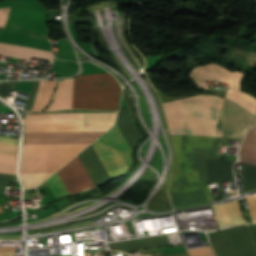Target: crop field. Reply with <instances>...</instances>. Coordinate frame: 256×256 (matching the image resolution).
Segmentation results:
<instances>
[{
  "label": "crop field",
  "mask_w": 256,
  "mask_h": 256,
  "mask_svg": "<svg viewBox=\"0 0 256 256\" xmlns=\"http://www.w3.org/2000/svg\"><path fill=\"white\" fill-rule=\"evenodd\" d=\"M0 54L30 60L32 56L53 62V55L49 51L0 43Z\"/></svg>",
  "instance_id": "28ad6ade"
},
{
  "label": "crop field",
  "mask_w": 256,
  "mask_h": 256,
  "mask_svg": "<svg viewBox=\"0 0 256 256\" xmlns=\"http://www.w3.org/2000/svg\"><path fill=\"white\" fill-rule=\"evenodd\" d=\"M120 87L109 74L74 79L72 108L117 110Z\"/></svg>",
  "instance_id": "34b2d1b8"
},
{
  "label": "crop field",
  "mask_w": 256,
  "mask_h": 256,
  "mask_svg": "<svg viewBox=\"0 0 256 256\" xmlns=\"http://www.w3.org/2000/svg\"><path fill=\"white\" fill-rule=\"evenodd\" d=\"M160 256H188V254L186 251H183V252L165 254V255H160Z\"/></svg>",
  "instance_id": "eef30255"
},
{
  "label": "crop field",
  "mask_w": 256,
  "mask_h": 256,
  "mask_svg": "<svg viewBox=\"0 0 256 256\" xmlns=\"http://www.w3.org/2000/svg\"><path fill=\"white\" fill-rule=\"evenodd\" d=\"M92 145L110 177L124 173L132 164L131 152L117 126Z\"/></svg>",
  "instance_id": "412701ff"
},
{
  "label": "crop field",
  "mask_w": 256,
  "mask_h": 256,
  "mask_svg": "<svg viewBox=\"0 0 256 256\" xmlns=\"http://www.w3.org/2000/svg\"><path fill=\"white\" fill-rule=\"evenodd\" d=\"M95 185L110 178L103 168L92 145L78 155Z\"/></svg>",
  "instance_id": "3316defc"
},
{
  "label": "crop field",
  "mask_w": 256,
  "mask_h": 256,
  "mask_svg": "<svg viewBox=\"0 0 256 256\" xmlns=\"http://www.w3.org/2000/svg\"><path fill=\"white\" fill-rule=\"evenodd\" d=\"M246 198H247L248 209L251 214L252 223H256V207L254 204V199H253L252 195L248 196Z\"/></svg>",
  "instance_id": "dafd665d"
},
{
  "label": "crop field",
  "mask_w": 256,
  "mask_h": 256,
  "mask_svg": "<svg viewBox=\"0 0 256 256\" xmlns=\"http://www.w3.org/2000/svg\"><path fill=\"white\" fill-rule=\"evenodd\" d=\"M239 157L244 163L256 165V126L247 132L239 149Z\"/></svg>",
  "instance_id": "cbeb9de0"
},
{
  "label": "crop field",
  "mask_w": 256,
  "mask_h": 256,
  "mask_svg": "<svg viewBox=\"0 0 256 256\" xmlns=\"http://www.w3.org/2000/svg\"><path fill=\"white\" fill-rule=\"evenodd\" d=\"M57 172L69 194L96 188L78 156Z\"/></svg>",
  "instance_id": "dd49c442"
},
{
  "label": "crop field",
  "mask_w": 256,
  "mask_h": 256,
  "mask_svg": "<svg viewBox=\"0 0 256 256\" xmlns=\"http://www.w3.org/2000/svg\"><path fill=\"white\" fill-rule=\"evenodd\" d=\"M55 83V80L40 81L37 96L31 111H40L48 104L55 87Z\"/></svg>",
  "instance_id": "5142ce71"
},
{
  "label": "crop field",
  "mask_w": 256,
  "mask_h": 256,
  "mask_svg": "<svg viewBox=\"0 0 256 256\" xmlns=\"http://www.w3.org/2000/svg\"><path fill=\"white\" fill-rule=\"evenodd\" d=\"M88 145H28L26 171L20 172L25 188L36 187Z\"/></svg>",
  "instance_id": "ac0d7876"
},
{
  "label": "crop field",
  "mask_w": 256,
  "mask_h": 256,
  "mask_svg": "<svg viewBox=\"0 0 256 256\" xmlns=\"http://www.w3.org/2000/svg\"><path fill=\"white\" fill-rule=\"evenodd\" d=\"M0 212H2V209L0 208Z\"/></svg>",
  "instance_id": "bd1437ed"
},
{
  "label": "crop field",
  "mask_w": 256,
  "mask_h": 256,
  "mask_svg": "<svg viewBox=\"0 0 256 256\" xmlns=\"http://www.w3.org/2000/svg\"><path fill=\"white\" fill-rule=\"evenodd\" d=\"M211 206L214 207L219 227L226 226L228 224L237 225L246 223L242 217L237 199L219 204H212Z\"/></svg>",
  "instance_id": "5a996713"
},
{
  "label": "crop field",
  "mask_w": 256,
  "mask_h": 256,
  "mask_svg": "<svg viewBox=\"0 0 256 256\" xmlns=\"http://www.w3.org/2000/svg\"><path fill=\"white\" fill-rule=\"evenodd\" d=\"M47 183L52 190L55 198L63 195H68L66 188L64 187L61 179L59 178L57 172L48 178Z\"/></svg>",
  "instance_id": "4a817a6b"
},
{
  "label": "crop field",
  "mask_w": 256,
  "mask_h": 256,
  "mask_svg": "<svg viewBox=\"0 0 256 256\" xmlns=\"http://www.w3.org/2000/svg\"><path fill=\"white\" fill-rule=\"evenodd\" d=\"M16 247H3V248H0V251H9V250H15Z\"/></svg>",
  "instance_id": "ae1a2a85"
},
{
  "label": "crop field",
  "mask_w": 256,
  "mask_h": 256,
  "mask_svg": "<svg viewBox=\"0 0 256 256\" xmlns=\"http://www.w3.org/2000/svg\"><path fill=\"white\" fill-rule=\"evenodd\" d=\"M117 113L80 114L81 123H114Z\"/></svg>",
  "instance_id": "733c2abd"
},
{
  "label": "crop field",
  "mask_w": 256,
  "mask_h": 256,
  "mask_svg": "<svg viewBox=\"0 0 256 256\" xmlns=\"http://www.w3.org/2000/svg\"><path fill=\"white\" fill-rule=\"evenodd\" d=\"M188 254L189 256H215L213 246L189 250Z\"/></svg>",
  "instance_id": "92a150f3"
},
{
  "label": "crop field",
  "mask_w": 256,
  "mask_h": 256,
  "mask_svg": "<svg viewBox=\"0 0 256 256\" xmlns=\"http://www.w3.org/2000/svg\"><path fill=\"white\" fill-rule=\"evenodd\" d=\"M0 141L17 145V140L11 139V138H6V137H1L0 136Z\"/></svg>",
  "instance_id": "730fd06b"
},
{
  "label": "crop field",
  "mask_w": 256,
  "mask_h": 256,
  "mask_svg": "<svg viewBox=\"0 0 256 256\" xmlns=\"http://www.w3.org/2000/svg\"><path fill=\"white\" fill-rule=\"evenodd\" d=\"M25 132L107 131L113 124H80V119L23 120Z\"/></svg>",
  "instance_id": "f4fd0767"
},
{
  "label": "crop field",
  "mask_w": 256,
  "mask_h": 256,
  "mask_svg": "<svg viewBox=\"0 0 256 256\" xmlns=\"http://www.w3.org/2000/svg\"><path fill=\"white\" fill-rule=\"evenodd\" d=\"M245 74L233 71L230 72L227 69L217 65L208 64L205 66H197L192 68L189 78L219 81L222 83H230V87L239 90Z\"/></svg>",
  "instance_id": "d8731c3e"
},
{
  "label": "crop field",
  "mask_w": 256,
  "mask_h": 256,
  "mask_svg": "<svg viewBox=\"0 0 256 256\" xmlns=\"http://www.w3.org/2000/svg\"><path fill=\"white\" fill-rule=\"evenodd\" d=\"M79 118V113L27 114L24 119Z\"/></svg>",
  "instance_id": "214f88e0"
},
{
  "label": "crop field",
  "mask_w": 256,
  "mask_h": 256,
  "mask_svg": "<svg viewBox=\"0 0 256 256\" xmlns=\"http://www.w3.org/2000/svg\"><path fill=\"white\" fill-rule=\"evenodd\" d=\"M9 10H10V8H1L0 9V28H3V26L5 24ZM0 31H1V29H0Z\"/></svg>",
  "instance_id": "4177f3b9"
},
{
  "label": "crop field",
  "mask_w": 256,
  "mask_h": 256,
  "mask_svg": "<svg viewBox=\"0 0 256 256\" xmlns=\"http://www.w3.org/2000/svg\"><path fill=\"white\" fill-rule=\"evenodd\" d=\"M113 249L118 250H133L138 248L155 247V246H166L167 241L164 235L146 237L131 241L116 242L110 244Z\"/></svg>",
  "instance_id": "d1516ede"
},
{
  "label": "crop field",
  "mask_w": 256,
  "mask_h": 256,
  "mask_svg": "<svg viewBox=\"0 0 256 256\" xmlns=\"http://www.w3.org/2000/svg\"><path fill=\"white\" fill-rule=\"evenodd\" d=\"M72 86H73V79L64 81V98H63L62 109L71 108ZM62 97H63V82L58 81V88L53 98V102L46 109V111L61 110Z\"/></svg>",
  "instance_id": "22f410ed"
},
{
  "label": "crop field",
  "mask_w": 256,
  "mask_h": 256,
  "mask_svg": "<svg viewBox=\"0 0 256 256\" xmlns=\"http://www.w3.org/2000/svg\"><path fill=\"white\" fill-rule=\"evenodd\" d=\"M229 101L199 95L164 103L172 136L220 137ZM254 116L230 103L222 136L242 138ZM172 137L176 162L170 186L175 207L211 202L206 159H215L220 138Z\"/></svg>",
  "instance_id": "8a807250"
},
{
  "label": "crop field",
  "mask_w": 256,
  "mask_h": 256,
  "mask_svg": "<svg viewBox=\"0 0 256 256\" xmlns=\"http://www.w3.org/2000/svg\"><path fill=\"white\" fill-rule=\"evenodd\" d=\"M254 199H255V204H256V193L255 194H252Z\"/></svg>",
  "instance_id": "d3111659"
},
{
  "label": "crop field",
  "mask_w": 256,
  "mask_h": 256,
  "mask_svg": "<svg viewBox=\"0 0 256 256\" xmlns=\"http://www.w3.org/2000/svg\"><path fill=\"white\" fill-rule=\"evenodd\" d=\"M225 98L242 106L250 113L254 115L256 114V99H254L253 97L241 92H236L231 89H227Z\"/></svg>",
  "instance_id": "d9b57169"
},
{
  "label": "crop field",
  "mask_w": 256,
  "mask_h": 256,
  "mask_svg": "<svg viewBox=\"0 0 256 256\" xmlns=\"http://www.w3.org/2000/svg\"><path fill=\"white\" fill-rule=\"evenodd\" d=\"M64 256H71V255H64Z\"/></svg>",
  "instance_id": "750c4746"
},
{
  "label": "crop field",
  "mask_w": 256,
  "mask_h": 256,
  "mask_svg": "<svg viewBox=\"0 0 256 256\" xmlns=\"http://www.w3.org/2000/svg\"><path fill=\"white\" fill-rule=\"evenodd\" d=\"M17 178L16 176L0 174V189L4 188L10 181Z\"/></svg>",
  "instance_id": "a9b5d70f"
},
{
  "label": "crop field",
  "mask_w": 256,
  "mask_h": 256,
  "mask_svg": "<svg viewBox=\"0 0 256 256\" xmlns=\"http://www.w3.org/2000/svg\"><path fill=\"white\" fill-rule=\"evenodd\" d=\"M104 132L25 133V144L91 143Z\"/></svg>",
  "instance_id": "e52e79f7"
},
{
  "label": "crop field",
  "mask_w": 256,
  "mask_h": 256,
  "mask_svg": "<svg viewBox=\"0 0 256 256\" xmlns=\"http://www.w3.org/2000/svg\"><path fill=\"white\" fill-rule=\"evenodd\" d=\"M0 151L7 152L10 154H17V146L0 142Z\"/></svg>",
  "instance_id": "00972430"
},
{
  "label": "crop field",
  "mask_w": 256,
  "mask_h": 256,
  "mask_svg": "<svg viewBox=\"0 0 256 256\" xmlns=\"http://www.w3.org/2000/svg\"><path fill=\"white\" fill-rule=\"evenodd\" d=\"M17 156L0 153V161L16 164ZM0 162V173L15 175L16 165Z\"/></svg>",
  "instance_id": "bc2a9ffb"
}]
</instances>
